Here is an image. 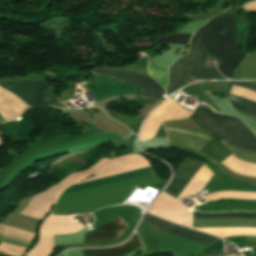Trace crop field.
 Segmentation results:
<instances>
[{
    "label": "crop field",
    "mask_w": 256,
    "mask_h": 256,
    "mask_svg": "<svg viewBox=\"0 0 256 256\" xmlns=\"http://www.w3.org/2000/svg\"><path fill=\"white\" fill-rule=\"evenodd\" d=\"M220 25L225 26V33H220ZM235 30V17H215L197 30L190 41L192 44L201 45L208 56L213 54L219 57L221 66L217 67L225 77L230 79L237 63L246 53L238 50L239 44L232 41ZM195 38H199L198 43L193 42Z\"/></svg>",
    "instance_id": "8a807250"
},
{
    "label": "crop field",
    "mask_w": 256,
    "mask_h": 256,
    "mask_svg": "<svg viewBox=\"0 0 256 256\" xmlns=\"http://www.w3.org/2000/svg\"><path fill=\"white\" fill-rule=\"evenodd\" d=\"M190 117L212 139L221 138L224 141L256 150V137L241 120L232 116L216 114L206 106L198 107Z\"/></svg>",
    "instance_id": "ac0d7876"
},
{
    "label": "crop field",
    "mask_w": 256,
    "mask_h": 256,
    "mask_svg": "<svg viewBox=\"0 0 256 256\" xmlns=\"http://www.w3.org/2000/svg\"><path fill=\"white\" fill-rule=\"evenodd\" d=\"M206 57L207 53L202 47L191 45L189 53L171 65L167 94L185 86L187 75H195L204 80L225 79L217 69H203Z\"/></svg>",
    "instance_id": "34b2d1b8"
},
{
    "label": "crop field",
    "mask_w": 256,
    "mask_h": 256,
    "mask_svg": "<svg viewBox=\"0 0 256 256\" xmlns=\"http://www.w3.org/2000/svg\"><path fill=\"white\" fill-rule=\"evenodd\" d=\"M92 73L117 79L126 83H139V91L137 93V95L139 96L161 98L162 95L165 94L164 89L151 77L134 75L103 67H97L92 69ZM140 89H144L146 90V92L140 93Z\"/></svg>",
    "instance_id": "412701ff"
},
{
    "label": "crop field",
    "mask_w": 256,
    "mask_h": 256,
    "mask_svg": "<svg viewBox=\"0 0 256 256\" xmlns=\"http://www.w3.org/2000/svg\"><path fill=\"white\" fill-rule=\"evenodd\" d=\"M0 86L16 94L18 97L23 99L31 107L33 106L59 107L56 96L49 97L51 102L43 101L42 93L46 88L50 87V85L46 81H43V82L23 81V82L13 83L11 88L6 87L5 84H0Z\"/></svg>",
    "instance_id": "f4fd0767"
},
{
    "label": "crop field",
    "mask_w": 256,
    "mask_h": 256,
    "mask_svg": "<svg viewBox=\"0 0 256 256\" xmlns=\"http://www.w3.org/2000/svg\"><path fill=\"white\" fill-rule=\"evenodd\" d=\"M127 227L128 225L120 216L98 228L93 229L95 232L91 234H89L88 232L85 233V243H109L113 240L118 239Z\"/></svg>",
    "instance_id": "dd49c442"
},
{
    "label": "crop field",
    "mask_w": 256,
    "mask_h": 256,
    "mask_svg": "<svg viewBox=\"0 0 256 256\" xmlns=\"http://www.w3.org/2000/svg\"><path fill=\"white\" fill-rule=\"evenodd\" d=\"M142 221L155 225L162 232H166L172 235H176V236L186 238V239L196 241L206 245L218 239V238H214L205 234H201V233L159 220L149 214H145Z\"/></svg>",
    "instance_id": "e52e79f7"
},
{
    "label": "crop field",
    "mask_w": 256,
    "mask_h": 256,
    "mask_svg": "<svg viewBox=\"0 0 256 256\" xmlns=\"http://www.w3.org/2000/svg\"><path fill=\"white\" fill-rule=\"evenodd\" d=\"M203 164L204 163L202 162L187 158V160L179 167L176 175L174 174L175 177L166 188L165 192L178 198Z\"/></svg>",
    "instance_id": "d8731c3e"
},
{
    "label": "crop field",
    "mask_w": 256,
    "mask_h": 256,
    "mask_svg": "<svg viewBox=\"0 0 256 256\" xmlns=\"http://www.w3.org/2000/svg\"><path fill=\"white\" fill-rule=\"evenodd\" d=\"M140 247H142V244L137 234H134L130 240L121 246L108 249H89L82 251L84 256H126Z\"/></svg>",
    "instance_id": "5a996713"
},
{
    "label": "crop field",
    "mask_w": 256,
    "mask_h": 256,
    "mask_svg": "<svg viewBox=\"0 0 256 256\" xmlns=\"http://www.w3.org/2000/svg\"><path fill=\"white\" fill-rule=\"evenodd\" d=\"M234 84L256 91V82H234ZM227 99L230 102H232L233 104H235L236 106H238L239 108L256 116V103L255 102H253L251 100L231 96V95H228Z\"/></svg>",
    "instance_id": "3316defc"
},
{
    "label": "crop field",
    "mask_w": 256,
    "mask_h": 256,
    "mask_svg": "<svg viewBox=\"0 0 256 256\" xmlns=\"http://www.w3.org/2000/svg\"><path fill=\"white\" fill-rule=\"evenodd\" d=\"M193 218H252V219H256V213H244V212L199 213V212L194 211Z\"/></svg>",
    "instance_id": "28ad6ade"
},
{
    "label": "crop field",
    "mask_w": 256,
    "mask_h": 256,
    "mask_svg": "<svg viewBox=\"0 0 256 256\" xmlns=\"http://www.w3.org/2000/svg\"><path fill=\"white\" fill-rule=\"evenodd\" d=\"M109 116L124 123L134 133H137L138 127L144 118V117H129V116H125V115H118L114 112L111 113Z\"/></svg>",
    "instance_id": "d1516ede"
},
{
    "label": "crop field",
    "mask_w": 256,
    "mask_h": 256,
    "mask_svg": "<svg viewBox=\"0 0 256 256\" xmlns=\"http://www.w3.org/2000/svg\"><path fill=\"white\" fill-rule=\"evenodd\" d=\"M191 35L188 34H171L158 37L152 44L156 43H178L186 44L189 42Z\"/></svg>",
    "instance_id": "22f410ed"
},
{
    "label": "crop field",
    "mask_w": 256,
    "mask_h": 256,
    "mask_svg": "<svg viewBox=\"0 0 256 256\" xmlns=\"http://www.w3.org/2000/svg\"><path fill=\"white\" fill-rule=\"evenodd\" d=\"M249 246H256V237H245Z\"/></svg>",
    "instance_id": "cbeb9de0"
},
{
    "label": "crop field",
    "mask_w": 256,
    "mask_h": 256,
    "mask_svg": "<svg viewBox=\"0 0 256 256\" xmlns=\"http://www.w3.org/2000/svg\"><path fill=\"white\" fill-rule=\"evenodd\" d=\"M1 243V242H0ZM1 253V252H0ZM4 254V253H3ZM3 254H0V256H7V255H3Z\"/></svg>",
    "instance_id": "5142ce71"
},
{
    "label": "crop field",
    "mask_w": 256,
    "mask_h": 256,
    "mask_svg": "<svg viewBox=\"0 0 256 256\" xmlns=\"http://www.w3.org/2000/svg\"><path fill=\"white\" fill-rule=\"evenodd\" d=\"M79 86H81V84Z\"/></svg>",
    "instance_id": "d9b57169"
},
{
    "label": "crop field",
    "mask_w": 256,
    "mask_h": 256,
    "mask_svg": "<svg viewBox=\"0 0 256 256\" xmlns=\"http://www.w3.org/2000/svg\"><path fill=\"white\" fill-rule=\"evenodd\" d=\"M242 254V253H241Z\"/></svg>",
    "instance_id": "733c2abd"
}]
</instances>
